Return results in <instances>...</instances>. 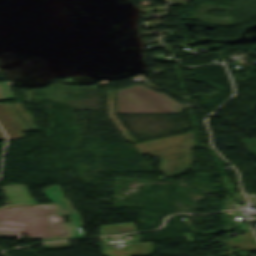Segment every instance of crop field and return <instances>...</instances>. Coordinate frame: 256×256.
Returning a JSON list of instances; mask_svg holds the SVG:
<instances>
[{
	"label": "crop field",
	"mask_w": 256,
	"mask_h": 256,
	"mask_svg": "<svg viewBox=\"0 0 256 256\" xmlns=\"http://www.w3.org/2000/svg\"><path fill=\"white\" fill-rule=\"evenodd\" d=\"M108 117L123 134L127 141L134 144L140 154L158 156L161 159L159 166L165 177H174L184 173L192 166V151L194 145L193 133L188 131L184 134L174 135L153 141L136 144L119 120L114 115L113 90L107 92Z\"/></svg>",
	"instance_id": "8a807250"
},
{
	"label": "crop field",
	"mask_w": 256,
	"mask_h": 256,
	"mask_svg": "<svg viewBox=\"0 0 256 256\" xmlns=\"http://www.w3.org/2000/svg\"><path fill=\"white\" fill-rule=\"evenodd\" d=\"M3 189L11 205L35 204L28 195L25 185L6 186Z\"/></svg>",
	"instance_id": "412701ff"
},
{
	"label": "crop field",
	"mask_w": 256,
	"mask_h": 256,
	"mask_svg": "<svg viewBox=\"0 0 256 256\" xmlns=\"http://www.w3.org/2000/svg\"><path fill=\"white\" fill-rule=\"evenodd\" d=\"M45 249L68 247L67 242L43 244Z\"/></svg>",
	"instance_id": "f4fd0767"
},
{
	"label": "crop field",
	"mask_w": 256,
	"mask_h": 256,
	"mask_svg": "<svg viewBox=\"0 0 256 256\" xmlns=\"http://www.w3.org/2000/svg\"><path fill=\"white\" fill-rule=\"evenodd\" d=\"M117 113H180L186 107L142 84L116 90Z\"/></svg>",
	"instance_id": "ac0d7876"
},
{
	"label": "crop field",
	"mask_w": 256,
	"mask_h": 256,
	"mask_svg": "<svg viewBox=\"0 0 256 256\" xmlns=\"http://www.w3.org/2000/svg\"><path fill=\"white\" fill-rule=\"evenodd\" d=\"M46 197L56 205L55 213L59 216L69 217L72 222L64 224L69 236L61 238L42 239L43 241L58 240V239H76L81 238L82 232L80 227L83 226L76 211L71 209L67 200H64L58 185L51 186L49 189H44Z\"/></svg>",
	"instance_id": "34b2d1b8"
}]
</instances>
